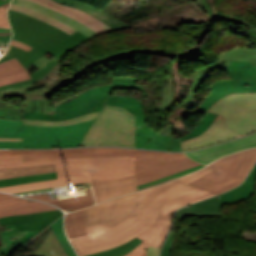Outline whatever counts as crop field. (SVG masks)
I'll list each match as a JSON object with an SVG mask.
<instances>
[{"label":"crop field","instance_id":"1","mask_svg":"<svg viewBox=\"0 0 256 256\" xmlns=\"http://www.w3.org/2000/svg\"><path fill=\"white\" fill-rule=\"evenodd\" d=\"M213 170L209 166L182 178L139 191V205L123 222L100 234L70 239L79 256L110 249L130 241L156 224L161 210L171 201L201 189L187 185Z\"/></svg>","mask_w":256,"mask_h":256},{"label":"crop field","instance_id":"2","mask_svg":"<svg viewBox=\"0 0 256 256\" xmlns=\"http://www.w3.org/2000/svg\"><path fill=\"white\" fill-rule=\"evenodd\" d=\"M0 155H23L24 161L54 158L136 156L134 168L137 186L200 164L187 158L184 153L152 152L123 148L0 150Z\"/></svg>","mask_w":256,"mask_h":256},{"label":"crop field","instance_id":"3","mask_svg":"<svg viewBox=\"0 0 256 256\" xmlns=\"http://www.w3.org/2000/svg\"><path fill=\"white\" fill-rule=\"evenodd\" d=\"M8 18L13 29L12 39L33 48L27 52L10 45L0 62L15 57L26 68L47 52L61 60L67 52L90 40L78 31L70 36L48 23L18 12L9 10Z\"/></svg>","mask_w":256,"mask_h":256},{"label":"crop field","instance_id":"4","mask_svg":"<svg viewBox=\"0 0 256 256\" xmlns=\"http://www.w3.org/2000/svg\"><path fill=\"white\" fill-rule=\"evenodd\" d=\"M134 157H102L55 159L58 179L0 188L14 193L60 185L90 182V178H105L134 173Z\"/></svg>","mask_w":256,"mask_h":256},{"label":"crop field","instance_id":"5","mask_svg":"<svg viewBox=\"0 0 256 256\" xmlns=\"http://www.w3.org/2000/svg\"><path fill=\"white\" fill-rule=\"evenodd\" d=\"M94 120L60 127L28 126L0 119V137L23 138V142H0V148H51L79 146Z\"/></svg>","mask_w":256,"mask_h":256},{"label":"crop field","instance_id":"6","mask_svg":"<svg viewBox=\"0 0 256 256\" xmlns=\"http://www.w3.org/2000/svg\"><path fill=\"white\" fill-rule=\"evenodd\" d=\"M111 86H97L53 105L46 99L29 101L24 110V118L61 121L101 111Z\"/></svg>","mask_w":256,"mask_h":256},{"label":"crop field","instance_id":"7","mask_svg":"<svg viewBox=\"0 0 256 256\" xmlns=\"http://www.w3.org/2000/svg\"><path fill=\"white\" fill-rule=\"evenodd\" d=\"M134 147V115L113 106H105L85 136L82 146Z\"/></svg>","mask_w":256,"mask_h":256},{"label":"crop field","instance_id":"8","mask_svg":"<svg viewBox=\"0 0 256 256\" xmlns=\"http://www.w3.org/2000/svg\"><path fill=\"white\" fill-rule=\"evenodd\" d=\"M256 162V148L235 153L210 165L214 170L191 185L219 194L239 185Z\"/></svg>","mask_w":256,"mask_h":256},{"label":"crop field","instance_id":"9","mask_svg":"<svg viewBox=\"0 0 256 256\" xmlns=\"http://www.w3.org/2000/svg\"><path fill=\"white\" fill-rule=\"evenodd\" d=\"M138 205L137 192L84 210L88 233L103 231L123 221Z\"/></svg>","mask_w":256,"mask_h":256},{"label":"crop field","instance_id":"10","mask_svg":"<svg viewBox=\"0 0 256 256\" xmlns=\"http://www.w3.org/2000/svg\"><path fill=\"white\" fill-rule=\"evenodd\" d=\"M214 195L216 194L202 190L171 202L161 212L157 224L137 236L143 241L132 252L124 256H140L149 245L160 248L171 227L172 215L176 209Z\"/></svg>","mask_w":256,"mask_h":256},{"label":"crop field","instance_id":"11","mask_svg":"<svg viewBox=\"0 0 256 256\" xmlns=\"http://www.w3.org/2000/svg\"><path fill=\"white\" fill-rule=\"evenodd\" d=\"M59 61L60 60H58L55 57L52 58L50 61L46 57L42 56L31 64L39 69L30 75L32 79L20 83L1 86L0 118L23 121V110L25 107L15 108L14 106L5 105V103L3 102L4 98L6 96L17 95L19 97H22L24 101L27 103L30 95L33 93L28 92L27 90L35 87L33 82L37 81L38 79L46 75Z\"/></svg>","mask_w":256,"mask_h":256},{"label":"crop field","instance_id":"12","mask_svg":"<svg viewBox=\"0 0 256 256\" xmlns=\"http://www.w3.org/2000/svg\"><path fill=\"white\" fill-rule=\"evenodd\" d=\"M256 110V93L228 95L209 108V112L225 117L226 123Z\"/></svg>","mask_w":256,"mask_h":256},{"label":"crop field","instance_id":"13","mask_svg":"<svg viewBox=\"0 0 256 256\" xmlns=\"http://www.w3.org/2000/svg\"><path fill=\"white\" fill-rule=\"evenodd\" d=\"M105 105L121 106L135 115V147L142 148L157 135L145 125V115L139 100L124 96H108Z\"/></svg>","mask_w":256,"mask_h":256},{"label":"crop field","instance_id":"14","mask_svg":"<svg viewBox=\"0 0 256 256\" xmlns=\"http://www.w3.org/2000/svg\"><path fill=\"white\" fill-rule=\"evenodd\" d=\"M96 203L137 191L134 174L105 179H91Z\"/></svg>","mask_w":256,"mask_h":256},{"label":"crop field","instance_id":"15","mask_svg":"<svg viewBox=\"0 0 256 256\" xmlns=\"http://www.w3.org/2000/svg\"><path fill=\"white\" fill-rule=\"evenodd\" d=\"M212 91L195 112L203 113L222 97L235 92H256V76L247 80L218 81L209 87Z\"/></svg>","mask_w":256,"mask_h":256},{"label":"crop field","instance_id":"16","mask_svg":"<svg viewBox=\"0 0 256 256\" xmlns=\"http://www.w3.org/2000/svg\"><path fill=\"white\" fill-rule=\"evenodd\" d=\"M254 146H256V133L245 138L185 154L195 161L209 164L220 157Z\"/></svg>","mask_w":256,"mask_h":256},{"label":"crop field","instance_id":"17","mask_svg":"<svg viewBox=\"0 0 256 256\" xmlns=\"http://www.w3.org/2000/svg\"><path fill=\"white\" fill-rule=\"evenodd\" d=\"M237 137L240 136L230 131L226 127L222 116L218 115L204 134L195 138L181 141V145L183 150H194Z\"/></svg>","mask_w":256,"mask_h":256},{"label":"crop field","instance_id":"18","mask_svg":"<svg viewBox=\"0 0 256 256\" xmlns=\"http://www.w3.org/2000/svg\"><path fill=\"white\" fill-rule=\"evenodd\" d=\"M63 215L60 210L33 213L29 215L0 218V224H14L19 231L43 230L55 219Z\"/></svg>","mask_w":256,"mask_h":256},{"label":"crop field","instance_id":"19","mask_svg":"<svg viewBox=\"0 0 256 256\" xmlns=\"http://www.w3.org/2000/svg\"><path fill=\"white\" fill-rule=\"evenodd\" d=\"M42 4L48 8L61 12L95 30L99 35L113 31L108 25L98 20L97 18L77 9L70 8L66 5H61L53 0H30Z\"/></svg>","mask_w":256,"mask_h":256},{"label":"crop field","instance_id":"20","mask_svg":"<svg viewBox=\"0 0 256 256\" xmlns=\"http://www.w3.org/2000/svg\"><path fill=\"white\" fill-rule=\"evenodd\" d=\"M41 231L19 232L14 225H5L0 229V248L7 244L3 254L9 255L13 250L33 238Z\"/></svg>","mask_w":256,"mask_h":256},{"label":"crop field","instance_id":"21","mask_svg":"<svg viewBox=\"0 0 256 256\" xmlns=\"http://www.w3.org/2000/svg\"><path fill=\"white\" fill-rule=\"evenodd\" d=\"M216 197L210 198L199 203L192 204L190 205L191 208H187L186 206L179 209L176 212V218L182 219L184 215L221 216L220 198L217 199Z\"/></svg>","mask_w":256,"mask_h":256},{"label":"crop field","instance_id":"22","mask_svg":"<svg viewBox=\"0 0 256 256\" xmlns=\"http://www.w3.org/2000/svg\"><path fill=\"white\" fill-rule=\"evenodd\" d=\"M11 3H15V4H19L22 6H26L35 10H38L42 13L48 14L56 19H58L59 21L73 27L76 30H79L81 33L85 34L88 38H92L94 36H97L98 34L92 30H90L89 28H87L86 26L78 23L77 21L68 18L67 16L58 13L56 11H53L51 9L45 8L37 3H33V2H29V1H24V0H12Z\"/></svg>","mask_w":256,"mask_h":256},{"label":"crop field","instance_id":"23","mask_svg":"<svg viewBox=\"0 0 256 256\" xmlns=\"http://www.w3.org/2000/svg\"><path fill=\"white\" fill-rule=\"evenodd\" d=\"M88 195L85 196H79V197H73L68 199H62V200H56L51 201L49 200L47 194H40V195H33V196H26L29 198H34L38 200H42L48 203H51L61 209H68L69 211H75L82 208H85L87 206L95 204L93 193L91 190H86Z\"/></svg>","mask_w":256,"mask_h":256},{"label":"crop field","instance_id":"24","mask_svg":"<svg viewBox=\"0 0 256 256\" xmlns=\"http://www.w3.org/2000/svg\"><path fill=\"white\" fill-rule=\"evenodd\" d=\"M143 148L163 149L171 151L182 150L175 128L170 126L169 124L154 139L148 142Z\"/></svg>","mask_w":256,"mask_h":256},{"label":"crop field","instance_id":"25","mask_svg":"<svg viewBox=\"0 0 256 256\" xmlns=\"http://www.w3.org/2000/svg\"><path fill=\"white\" fill-rule=\"evenodd\" d=\"M30 79L26 69L14 58L0 63V86Z\"/></svg>","mask_w":256,"mask_h":256},{"label":"crop field","instance_id":"26","mask_svg":"<svg viewBox=\"0 0 256 256\" xmlns=\"http://www.w3.org/2000/svg\"><path fill=\"white\" fill-rule=\"evenodd\" d=\"M255 179L256 166L241 186L221 195L222 204L241 202L251 196L254 192Z\"/></svg>","mask_w":256,"mask_h":256},{"label":"crop field","instance_id":"27","mask_svg":"<svg viewBox=\"0 0 256 256\" xmlns=\"http://www.w3.org/2000/svg\"><path fill=\"white\" fill-rule=\"evenodd\" d=\"M229 62L230 61L214 63L206 68H202V69L194 71V80H193L191 89H190L184 103L180 106L189 110L196 103V100L194 99V93H195L196 89L201 85V83L207 77L210 76L209 72L219 70V69L225 70V68L229 65Z\"/></svg>","mask_w":256,"mask_h":256},{"label":"crop field","instance_id":"28","mask_svg":"<svg viewBox=\"0 0 256 256\" xmlns=\"http://www.w3.org/2000/svg\"><path fill=\"white\" fill-rule=\"evenodd\" d=\"M58 1L62 4H66L70 7L78 8L81 9L108 24L114 31L119 30V29H125V28H130L128 25L123 23L122 21L104 13L101 12L95 8H92L86 4L82 3H77V2H72V1H66V0H55Z\"/></svg>","mask_w":256,"mask_h":256},{"label":"crop field","instance_id":"29","mask_svg":"<svg viewBox=\"0 0 256 256\" xmlns=\"http://www.w3.org/2000/svg\"><path fill=\"white\" fill-rule=\"evenodd\" d=\"M53 171H56L54 164L26 166L17 168H0V179L47 173Z\"/></svg>","mask_w":256,"mask_h":256},{"label":"crop field","instance_id":"30","mask_svg":"<svg viewBox=\"0 0 256 256\" xmlns=\"http://www.w3.org/2000/svg\"><path fill=\"white\" fill-rule=\"evenodd\" d=\"M65 231L68 238L88 234L85 229L83 210L66 214Z\"/></svg>","mask_w":256,"mask_h":256},{"label":"crop field","instance_id":"31","mask_svg":"<svg viewBox=\"0 0 256 256\" xmlns=\"http://www.w3.org/2000/svg\"><path fill=\"white\" fill-rule=\"evenodd\" d=\"M57 208L50 206L48 204L42 202H31L15 207H8L0 210V217L10 216V215H20V214H28L32 212L39 211H47V210H55Z\"/></svg>","mask_w":256,"mask_h":256},{"label":"crop field","instance_id":"32","mask_svg":"<svg viewBox=\"0 0 256 256\" xmlns=\"http://www.w3.org/2000/svg\"><path fill=\"white\" fill-rule=\"evenodd\" d=\"M31 256H67L50 229L45 241Z\"/></svg>","mask_w":256,"mask_h":256},{"label":"crop field","instance_id":"33","mask_svg":"<svg viewBox=\"0 0 256 256\" xmlns=\"http://www.w3.org/2000/svg\"><path fill=\"white\" fill-rule=\"evenodd\" d=\"M230 79H246L256 75V69L250 62L245 61H231L226 68Z\"/></svg>","mask_w":256,"mask_h":256},{"label":"crop field","instance_id":"34","mask_svg":"<svg viewBox=\"0 0 256 256\" xmlns=\"http://www.w3.org/2000/svg\"><path fill=\"white\" fill-rule=\"evenodd\" d=\"M241 136L256 131V111L227 124Z\"/></svg>","mask_w":256,"mask_h":256},{"label":"crop field","instance_id":"35","mask_svg":"<svg viewBox=\"0 0 256 256\" xmlns=\"http://www.w3.org/2000/svg\"><path fill=\"white\" fill-rule=\"evenodd\" d=\"M10 10H14V11H18V12H22V13H25V14H28L30 16H33L35 18H38L40 20H43L45 22H48L56 27H58L59 29L65 31L66 33L68 34H72L73 32H75L74 29H72L71 27L67 26V25H64L62 24L61 22L47 16V15H44V14H41L35 10H32V9H29V8H25V7H22V6H18V5H15V4H11L10 5Z\"/></svg>","mask_w":256,"mask_h":256},{"label":"crop field","instance_id":"36","mask_svg":"<svg viewBox=\"0 0 256 256\" xmlns=\"http://www.w3.org/2000/svg\"><path fill=\"white\" fill-rule=\"evenodd\" d=\"M223 60H245L256 65V52L251 49L236 47L233 51L222 53L219 57V61Z\"/></svg>","mask_w":256,"mask_h":256},{"label":"crop field","instance_id":"37","mask_svg":"<svg viewBox=\"0 0 256 256\" xmlns=\"http://www.w3.org/2000/svg\"><path fill=\"white\" fill-rule=\"evenodd\" d=\"M54 178H57L56 172L40 174V175H33V176H26V177H19V178L4 179V180H0V187L28 183V182L41 181V180H48V179H54Z\"/></svg>","mask_w":256,"mask_h":256},{"label":"crop field","instance_id":"38","mask_svg":"<svg viewBox=\"0 0 256 256\" xmlns=\"http://www.w3.org/2000/svg\"><path fill=\"white\" fill-rule=\"evenodd\" d=\"M140 242H141V240L136 237L126 244L117 246V247L112 248L107 251L92 254L89 256H122V255L132 251Z\"/></svg>","mask_w":256,"mask_h":256},{"label":"crop field","instance_id":"39","mask_svg":"<svg viewBox=\"0 0 256 256\" xmlns=\"http://www.w3.org/2000/svg\"><path fill=\"white\" fill-rule=\"evenodd\" d=\"M51 227L53 228V231L56 235V237L58 238L59 242L61 243L63 249L65 250V252L68 254V256H76L75 252L73 251V249L71 248L64 230H63V216L61 218H59L57 221H55Z\"/></svg>","mask_w":256,"mask_h":256},{"label":"crop field","instance_id":"40","mask_svg":"<svg viewBox=\"0 0 256 256\" xmlns=\"http://www.w3.org/2000/svg\"><path fill=\"white\" fill-rule=\"evenodd\" d=\"M99 113L100 112L92 113V114L84 115V116H81V117H77V118H74V119H71V120L61 121V122H47V121H38V120L24 119V124H28V125L60 126V125L73 124V123H78V122H82V121H86V120L97 118Z\"/></svg>","mask_w":256,"mask_h":256},{"label":"crop field","instance_id":"41","mask_svg":"<svg viewBox=\"0 0 256 256\" xmlns=\"http://www.w3.org/2000/svg\"><path fill=\"white\" fill-rule=\"evenodd\" d=\"M48 163H54V160L23 162L22 156H0V167H16Z\"/></svg>","mask_w":256,"mask_h":256},{"label":"crop field","instance_id":"42","mask_svg":"<svg viewBox=\"0 0 256 256\" xmlns=\"http://www.w3.org/2000/svg\"><path fill=\"white\" fill-rule=\"evenodd\" d=\"M216 114L208 113L205 118L200 122V124L188 135L180 138L181 140H185L191 137L198 136L205 132V130L209 127L212 121L216 118Z\"/></svg>","mask_w":256,"mask_h":256},{"label":"crop field","instance_id":"43","mask_svg":"<svg viewBox=\"0 0 256 256\" xmlns=\"http://www.w3.org/2000/svg\"><path fill=\"white\" fill-rule=\"evenodd\" d=\"M206 29H208V28L203 29V32H202V33L199 35V37L193 42V44H192L193 46H191L187 52L178 53V54H174V53H172V52H166L164 55H169V56L177 57V58H180V59L197 55V52H200V50H201V47H197V46H198L199 43L201 42L202 37H203V35H204Z\"/></svg>","mask_w":256,"mask_h":256},{"label":"crop field","instance_id":"44","mask_svg":"<svg viewBox=\"0 0 256 256\" xmlns=\"http://www.w3.org/2000/svg\"><path fill=\"white\" fill-rule=\"evenodd\" d=\"M115 88H137L143 92L145 98L147 97L146 91L141 86H138L135 83V79L132 78H113L112 89Z\"/></svg>","mask_w":256,"mask_h":256},{"label":"crop field","instance_id":"45","mask_svg":"<svg viewBox=\"0 0 256 256\" xmlns=\"http://www.w3.org/2000/svg\"><path fill=\"white\" fill-rule=\"evenodd\" d=\"M204 166L205 165L201 164L199 166H196L194 168L188 169L186 171H183V172H180V173H177V174H174V175L162 178V179H158V180H155V181H152V182H148V183L142 184V185L138 186L137 188L139 190V189L147 188V187L154 186V185H157V184H160V183H164V182L170 181V180H172L174 178H177V177H179L181 175H184V174H187L189 172L195 171V170H197L199 168H202Z\"/></svg>","mask_w":256,"mask_h":256},{"label":"crop field","instance_id":"46","mask_svg":"<svg viewBox=\"0 0 256 256\" xmlns=\"http://www.w3.org/2000/svg\"><path fill=\"white\" fill-rule=\"evenodd\" d=\"M219 16H225V15H219ZM225 17H229L231 19H235V20H238L240 22H245V21H242L240 19H237V18H234V17H231V16H225ZM246 24L250 25V30L246 31L245 34H240V35H243L245 36L249 42L253 43L255 46L252 47L251 49L255 50L256 51V28L254 26H252L251 24L245 22Z\"/></svg>","mask_w":256,"mask_h":256},{"label":"crop field","instance_id":"47","mask_svg":"<svg viewBox=\"0 0 256 256\" xmlns=\"http://www.w3.org/2000/svg\"><path fill=\"white\" fill-rule=\"evenodd\" d=\"M8 4L9 3L0 6V28L10 29L9 24L7 22V17H6V11L8 9Z\"/></svg>","mask_w":256,"mask_h":256},{"label":"crop field","instance_id":"48","mask_svg":"<svg viewBox=\"0 0 256 256\" xmlns=\"http://www.w3.org/2000/svg\"><path fill=\"white\" fill-rule=\"evenodd\" d=\"M31 201H32V200H27V199H23V198H18V199H14V200H9V201L0 202V209H1V208L8 207V206H15V205H19V204L31 202Z\"/></svg>","mask_w":256,"mask_h":256},{"label":"crop field","instance_id":"49","mask_svg":"<svg viewBox=\"0 0 256 256\" xmlns=\"http://www.w3.org/2000/svg\"><path fill=\"white\" fill-rule=\"evenodd\" d=\"M11 37V30L0 29V46L8 45Z\"/></svg>","mask_w":256,"mask_h":256},{"label":"crop field","instance_id":"50","mask_svg":"<svg viewBox=\"0 0 256 256\" xmlns=\"http://www.w3.org/2000/svg\"><path fill=\"white\" fill-rule=\"evenodd\" d=\"M174 234H175V232L171 231L168 240L165 242V244L163 246L161 256H169L171 244L174 239Z\"/></svg>","mask_w":256,"mask_h":256},{"label":"crop field","instance_id":"51","mask_svg":"<svg viewBox=\"0 0 256 256\" xmlns=\"http://www.w3.org/2000/svg\"><path fill=\"white\" fill-rule=\"evenodd\" d=\"M159 250L160 249H158V248L149 246V248L146 250L147 256H158Z\"/></svg>","mask_w":256,"mask_h":256},{"label":"crop field","instance_id":"52","mask_svg":"<svg viewBox=\"0 0 256 256\" xmlns=\"http://www.w3.org/2000/svg\"><path fill=\"white\" fill-rule=\"evenodd\" d=\"M196 1H197L198 5L202 8V10H203L205 13H207L208 15L211 16V14H210V12H209V10H208V8H207V5H206L205 0H196Z\"/></svg>","mask_w":256,"mask_h":256},{"label":"crop field","instance_id":"53","mask_svg":"<svg viewBox=\"0 0 256 256\" xmlns=\"http://www.w3.org/2000/svg\"><path fill=\"white\" fill-rule=\"evenodd\" d=\"M11 44H13V45H15V46H17V47H19V48L25 49V50H27V51H28L29 49H31V47H29V46H27V45H24V44H21V43H19V42L13 41V40H12Z\"/></svg>","mask_w":256,"mask_h":256},{"label":"crop field","instance_id":"54","mask_svg":"<svg viewBox=\"0 0 256 256\" xmlns=\"http://www.w3.org/2000/svg\"><path fill=\"white\" fill-rule=\"evenodd\" d=\"M13 198H18V197L10 196L0 192V201L9 200Z\"/></svg>","mask_w":256,"mask_h":256},{"label":"crop field","instance_id":"55","mask_svg":"<svg viewBox=\"0 0 256 256\" xmlns=\"http://www.w3.org/2000/svg\"><path fill=\"white\" fill-rule=\"evenodd\" d=\"M0 141H22V139L0 138Z\"/></svg>","mask_w":256,"mask_h":256},{"label":"crop field","instance_id":"56","mask_svg":"<svg viewBox=\"0 0 256 256\" xmlns=\"http://www.w3.org/2000/svg\"><path fill=\"white\" fill-rule=\"evenodd\" d=\"M10 0H0V5L9 2Z\"/></svg>","mask_w":256,"mask_h":256},{"label":"crop field","instance_id":"57","mask_svg":"<svg viewBox=\"0 0 256 256\" xmlns=\"http://www.w3.org/2000/svg\"><path fill=\"white\" fill-rule=\"evenodd\" d=\"M5 247H6V245L0 249V255L3 253Z\"/></svg>","mask_w":256,"mask_h":256},{"label":"crop field","instance_id":"58","mask_svg":"<svg viewBox=\"0 0 256 256\" xmlns=\"http://www.w3.org/2000/svg\"><path fill=\"white\" fill-rule=\"evenodd\" d=\"M141 256H146V252H144Z\"/></svg>","mask_w":256,"mask_h":256},{"label":"crop field","instance_id":"59","mask_svg":"<svg viewBox=\"0 0 256 256\" xmlns=\"http://www.w3.org/2000/svg\"><path fill=\"white\" fill-rule=\"evenodd\" d=\"M256 67V66H255Z\"/></svg>","mask_w":256,"mask_h":256}]
</instances>
